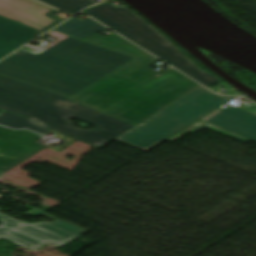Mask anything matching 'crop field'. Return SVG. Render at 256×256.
<instances>
[{"mask_svg": "<svg viewBox=\"0 0 256 256\" xmlns=\"http://www.w3.org/2000/svg\"><path fill=\"white\" fill-rule=\"evenodd\" d=\"M83 40L136 58L70 100L133 125L199 85L173 69L149 81V77L162 74L171 67L157 72L149 68L159 60L115 33L108 37L95 33Z\"/></svg>", "mask_w": 256, "mask_h": 256, "instance_id": "1", "label": "crop field"}, {"mask_svg": "<svg viewBox=\"0 0 256 256\" xmlns=\"http://www.w3.org/2000/svg\"><path fill=\"white\" fill-rule=\"evenodd\" d=\"M133 58L69 36L37 56L18 51L0 74L71 97Z\"/></svg>", "mask_w": 256, "mask_h": 256, "instance_id": "2", "label": "crop field"}, {"mask_svg": "<svg viewBox=\"0 0 256 256\" xmlns=\"http://www.w3.org/2000/svg\"><path fill=\"white\" fill-rule=\"evenodd\" d=\"M68 97L0 75V108L26 117L40 125L81 140L98 148L109 143L133 125L120 121L81 104ZM60 99L72 103L63 108L51 103ZM69 117H77L97 125L94 130L75 127Z\"/></svg>", "mask_w": 256, "mask_h": 256, "instance_id": "3", "label": "crop field"}, {"mask_svg": "<svg viewBox=\"0 0 256 256\" xmlns=\"http://www.w3.org/2000/svg\"><path fill=\"white\" fill-rule=\"evenodd\" d=\"M231 98L217 96L199 85L138 123L116 140L146 151Z\"/></svg>", "mask_w": 256, "mask_h": 256, "instance_id": "4", "label": "crop field"}, {"mask_svg": "<svg viewBox=\"0 0 256 256\" xmlns=\"http://www.w3.org/2000/svg\"><path fill=\"white\" fill-rule=\"evenodd\" d=\"M85 13L96 18L119 34L152 52L180 71L209 87L221 82L216 76L203 71L185 54L125 6L118 9L110 4L91 8Z\"/></svg>", "mask_w": 256, "mask_h": 256, "instance_id": "5", "label": "crop field"}, {"mask_svg": "<svg viewBox=\"0 0 256 256\" xmlns=\"http://www.w3.org/2000/svg\"><path fill=\"white\" fill-rule=\"evenodd\" d=\"M33 0H0V58L62 22Z\"/></svg>", "mask_w": 256, "mask_h": 256, "instance_id": "6", "label": "crop field"}, {"mask_svg": "<svg viewBox=\"0 0 256 256\" xmlns=\"http://www.w3.org/2000/svg\"><path fill=\"white\" fill-rule=\"evenodd\" d=\"M43 215L55 219L56 222L27 224L0 213V238L4 237L34 251L47 242L62 245L86 231L46 213Z\"/></svg>", "mask_w": 256, "mask_h": 256, "instance_id": "7", "label": "crop field"}, {"mask_svg": "<svg viewBox=\"0 0 256 256\" xmlns=\"http://www.w3.org/2000/svg\"><path fill=\"white\" fill-rule=\"evenodd\" d=\"M40 136L27 130L12 131L0 127V173H5L46 147L34 142Z\"/></svg>", "mask_w": 256, "mask_h": 256, "instance_id": "8", "label": "crop field"}, {"mask_svg": "<svg viewBox=\"0 0 256 256\" xmlns=\"http://www.w3.org/2000/svg\"><path fill=\"white\" fill-rule=\"evenodd\" d=\"M201 120L256 141V109L229 106L219 108Z\"/></svg>", "mask_w": 256, "mask_h": 256, "instance_id": "9", "label": "crop field"}, {"mask_svg": "<svg viewBox=\"0 0 256 256\" xmlns=\"http://www.w3.org/2000/svg\"><path fill=\"white\" fill-rule=\"evenodd\" d=\"M105 29L101 25L95 23L91 19H86L84 21H79L75 18L69 20L68 22L64 23L63 25L59 26L55 30L60 32L77 36L81 39L98 32L100 30Z\"/></svg>", "mask_w": 256, "mask_h": 256, "instance_id": "10", "label": "crop field"}, {"mask_svg": "<svg viewBox=\"0 0 256 256\" xmlns=\"http://www.w3.org/2000/svg\"><path fill=\"white\" fill-rule=\"evenodd\" d=\"M0 124L14 128V129H19V128H29L35 132H38L42 135L47 133L50 129L44 128L34 122L33 120L8 112V111H3L2 115L0 116Z\"/></svg>", "mask_w": 256, "mask_h": 256, "instance_id": "11", "label": "crop field"}, {"mask_svg": "<svg viewBox=\"0 0 256 256\" xmlns=\"http://www.w3.org/2000/svg\"><path fill=\"white\" fill-rule=\"evenodd\" d=\"M47 5L65 11L67 13H74L83 7L94 4L91 0H38Z\"/></svg>", "mask_w": 256, "mask_h": 256, "instance_id": "12", "label": "crop field"}, {"mask_svg": "<svg viewBox=\"0 0 256 256\" xmlns=\"http://www.w3.org/2000/svg\"><path fill=\"white\" fill-rule=\"evenodd\" d=\"M54 104L56 105H60V106H64V107H69L71 106L70 103H66V102H63V101H60V100H54L52 101Z\"/></svg>", "mask_w": 256, "mask_h": 256, "instance_id": "13", "label": "crop field"}, {"mask_svg": "<svg viewBox=\"0 0 256 256\" xmlns=\"http://www.w3.org/2000/svg\"><path fill=\"white\" fill-rule=\"evenodd\" d=\"M172 69V68H171ZM170 70V69H169ZM168 70V71H169ZM159 76H161L160 74H158V75H155V76H153V77H151V78H149L150 80H154V79H156L157 77H159Z\"/></svg>", "mask_w": 256, "mask_h": 256, "instance_id": "14", "label": "crop field"}, {"mask_svg": "<svg viewBox=\"0 0 256 256\" xmlns=\"http://www.w3.org/2000/svg\"><path fill=\"white\" fill-rule=\"evenodd\" d=\"M1 175V174H0Z\"/></svg>", "mask_w": 256, "mask_h": 256, "instance_id": "15", "label": "crop field"}]
</instances>
